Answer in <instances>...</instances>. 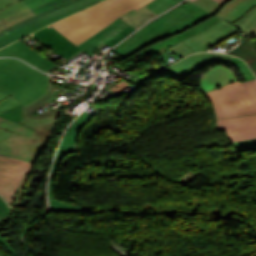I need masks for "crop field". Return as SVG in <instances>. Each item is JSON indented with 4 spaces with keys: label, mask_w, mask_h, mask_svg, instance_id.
Returning <instances> with one entry per match:
<instances>
[{
    "label": "crop field",
    "mask_w": 256,
    "mask_h": 256,
    "mask_svg": "<svg viewBox=\"0 0 256 256\" xmlns=\"http://www.w3.org/2000/svg\"><path fill=\"white\" fill-rule=\"evenodd\" d=\"M219 20L192 3H183L147 24L112 51L126 58L138 51L142 56L160 54Z\"/></svg>",
    "instance_id": "crop-field-1"
},
{
    "label": "crop field",
    "mask_w": 256,
    "mask_h": 256,
    "mask_svg": "<svg viewBox=\"0 0 256 256\" xmlns=\"http://www.w3.org/2000/svg\"><path fill=\"white\" fill-rule=\"evenodd\" d=\"M26 110L20 104L0 114V155L35 163L60 111L50 108L32 117Z\"/></svg>",
    "instance_id": "crop-field-2"
},
{
    "label": "crop field",
    "mask_w": 256,
    "mask_h": 256,
    "mask_svg": "<svg viewBox=\"0 0 256 256\" xmlns=\"http://www.w3.org/2000/svg\"><path fill=\"white\" fill-rule=\"evenodd\" d=\"M152 0H105L73 16L51 24L77 46L110 25L120 15Z\"/></svg>",
    "instance_id": "crop-field-3"
},
{
    "label": "crop field",
    "mask_w": 256,
    "mask_h": 256,
    "mask_svg": "<svg viewBox=\"0 0 256 256\" xmlns=\"http://www.w3.org/2000/svg\"><path fill=\"white\" fill-rule=\"evenodd\" d=\"M49 87L46 76L15 59H0V92L24 106L41 97Z\"/></svg>",
    "instance_id": "crop-field-4"
},
{
    "label": "crop field",
    "mask_w": 256,
    "mask_h": 256,
    "mask_svg": "<svg viewBox=\"0 0 256 256\" xmlns=\"http://www.w3.org/2000/svg\"><path fill=\"white\" fill-rule=\"evenodd\" d=\"M133 30L135 29L118 18L110 26L98 32L78 47L63 37L50 25L31 34L30 36L50 47L62 57L68 59L81 49L92 56L94 50L97 49L101 41L112 47Z\"/></svg>",
    "instance_id": "crop-field-5"
},
{
    "label": "crop field",
    "mask_w": 256,
    "mask_h": 256,
    "mask_svg": "<svg viewBox=\"0 0 256 256\" xmlns=\"http://www.w3.org/2000/svg\"><path fill=\"white\" fill-rule=\"evenodd\" d=\"M215 118H227L256 113V79L220 87L204 94Z\"/></svg>",
    "instance_id": "crop-field-6"
},
{
    "label": "crop field",
    "mask_w": 256,
    "mask_h": 256,
    "mask_svg": "<svg viewBox=\"0 0 256 256\" xmlns=\"http://www.w3.org/2000/svg\"><path fill=\"white\" fill-rule=\"evenodd\" d=\"M99 1L101 0H70L15 24L0 32V48Z\"/></svg>",
    "instance_id": "crop-field-7"
},
{
    "label": "crop field",
    "mask_w": 256,
    "mask_h": 256,
    "mask_svg": "<svg viewBox=\"0 0 256 256\" xmlns=\"http://www.w3.org/2000/svg\"><path fill=\"white\" fill-rule=\"evenodd\" d=\"M231 56L223 55L219 53H198L191 55L178 63L160 71L157 68L143 69L147 74L139 77L134 83L136 88L140 89L142 84L154 77L160 75H166L175 81H179L191 74L192 72L198 70L199 68L212 63V62H222L226 63Z\"/></svg>",
    "instance_id": "crop-field-8"
},
{
    "label": "crop field",
    "mask_w": 256,
    "mask_h": 256,
    "mask_svg": "<svg viewBox=\"0 0 256 256\" xmlns=\"http://www.w3.org/2000/svg\"><path fill=\"white\" fill-rule=\"evenodd\" d=\"M238 29L222 19L209 29L183 40L170 49L183 57L193 52L206 51L234 34Z\"/></svg>",
    "instance_id": "crop-field-9"
},
{
    "label": "crop field",
    "mask_w": 256,
    "mask_h": 256,
    "mask_svg": "<svg viewBox=\"0 0 256 256\" xmlns=\"http://www.w3.org/2000/svg\"><path fill=\"white\" fill-rule=\"evenodd\" d=\"M31 165L15 158L0 156V194L8 203H11L24 173L29 172Z\"/></svg>",
    "instance_id": "crop-field-10"
},
{
    "label": "crop field",
    "mask_w": 256,
    "mask_h": 256,
    "mask_svg": "<svg viewBox=\"0 0 256 256\" xmlns=\"http://www.w3.org/2000/svg\"><path fill=\"white\" fill-rule=\"evenodd\" d=\"M68 0H51L33 10L21 0H0V31Z\"/></svg>",
    "instance_id": "crop-field-11"
},
{
    "label": "crop field",
    "mask_w": 256,
    "mask_h": 256,
    "mask_svg": "<svg viewBox=\"0 0 256 256\" xmlns=\"http://www.w3.org/2000/svg\"><path fill=\"white\" fill-rule=\"evenodd\" d=\"M214 129L225 130L228 142L256 138V115L219 119Z\"/></svg>",
    "instance_id": "crop-field-12"
},
{
    "label": "crop field",
    "mask_w": 256,
    "mask_h": 256,
    "mask_svg": "<svg viewBox=\"0 0 256 256\" xmlns=\"http://www.w3.org/2000/svg\"><path fill=\"white\" fill-rule=\"evenodd\" d=\"M0 56H18L46 72L56 65L20 41L1 49Z\"/></svg>",
    "instance_id": "crop-field-13"
},
{
    "label": "crop field",
    "mask_w": 256,
    "mask_h": 256,
    "mask_svg": "<svg viewBox=\"0 0 256 256\" xmlns=\"http://www.w3.org/2000/svg\"><path fill=\"white\" fill-rule=\"evenodd\" d=\"M237 80L232 70L226 66H216L201 76L202 94Z\"/></svg>",
    "instance_id": "crop-field-14"
},
{
    "label": "crop field",
    "mask_w": 256,
    "mask_h": 256,
    "mask_svg": "<svg viewBox=\"0 0 256 256\" xmlns=\"http://www.w3.org/2000/svg\"><path fill=\"white\" fill-rule=\"evenodd\" d=\"M94 115L83 112L67 131L58 153L71 154L79 152V133Z\"/></svg>",
    "instance_id": "crop-field-15"
},
{
    "label": "crop field",
    "mask_w": 256,
    "mask_h": 256,
    "mask_svg": "<svg viewBox=\"0 0 256 256\" xmlns=\"http://www.w3.org/2000/svg\"><path fill=\"white\" fill-rule=\"evenodd\" d=\"M255 5L256 0H230L215 16L232 23Z\"/></svg>",
    "instance_id": "crop-field-16"
},
{
    "label": "crop field",
    "mask_w": 256,
    "mask_h": 256,
    "mask_svg": "<svg viewBox=\"0 0 256 256\" xmlns=\"http://www.w3.org/2000/svg\"><path fill=\"white\" fill-rule=\"evenodd\" d=\"M64 155L58 154L54 166L51 172L50 178V187H49V194H50V210H88V208L79 207L76 205L69 204L67 202L55 200L52 198V188L56 180L57 172L61 163V160Z\"/></svg>",
    "instance_id": "crop-field-17"
},
{
    "label": "crop field",
    "mask_w": 256,
    "mask_h": 256,
    "mask_svg": "<svg viewBox=\"0 0 256 256\" xmlns=\"http://www.w3.org/2000/svg\"><path fill=\"white\" fill-rule=\"evenodd\" d=\"M228 53L244 59L256 76V49L246 38L242 36L241 43Z\"/></svg>",
    "instance_id": "crop-field-18"
},
{
    "label": "crop field",
    "mask_w": 256,
    "mask_h": 256,
    "mask_svg": "<svg viewBox=\"0 0 256 256\" xmlns=\"http://www.w3.org/2000/svg\"><path fill=\"white\" fill-rule=\"evenodd\" d=\"M154 12H152L147 7H142L138 11L132 10L119 18L124 20L126 23L131 25L133 28H138L140 25H142L147 20L151 19L152 17L156 16Z\"/></svg>",
    "instance_id": "crop-field-19"
},
{
    "label": "crop field",
    "mask_w": 256,
    "mask_h": 256,
    "mask_svg": "<svg viewBox=\"0 0 256 256\" xmlns=\"http://www.w3.org/2000/svg\"><path fill=\"white\" fill-rule=\"evenodd\" d=\"M233 24L239 27L241 31L247 35L256 25V6Z\"/></svg>",
    "instance_id": "crop-field-20"
},
{
    "label": "crop field",
    "mask_w": 256,
    "mask_h": 256,
    "mask_svg": "<svg viewBox=\"0 0 256 256\" xmlns=\"http://www.w3.org/2000/svg\"><path fill=\"white\" fill-rule=\"evenodd\" d=\"M12 210L13 208L10 207L0 196V222L4 221ZM0 243L3 244L13 256H17L15 250L1 236Z\"/></svg>",
    "instance_id": "crop-field-21"
},
{
    "label": "crop field",
    "mask_w": 256,
    "mask_h": 256,
    "mask_svg": "<svg viewBox=\"0 0 256 256\" xmlns=\"http://www.w3.org/2000/svg\"><path fill=\"white\" fill-rule=\"evenodd\" d=\"M227 63L237 68V70L240 72L244 81L255 79V76L243 61L232 56Z\"/></svg>",
    "instance_id": "crop-field-22"
},
{
    "label": "crop field",
    "mask_w": 256,
    "mask_h": 256,
    "mask_svg": "<svg viewBox=\"0 0 256 256\" xmlns=\"http://www.w3.org/2000/svg\"><path fill=\"white\" fill-rule=\"evenodd\" d=\"M181 0H153L147 7L150 8L155 13L159 14L170 7L176 5ZM161 8V9H160Z\"/></svg>",
    "instance_id": "crop-field-23"
},
{
    "label": "crop field",
    "mask_w": 256,
    "mask_h": 256,
    "mask_svg": "<svg viewBox=\"0 0 256 256\" xmlns=\"http://www.w3.org/2000/svg\"><path fill=\"white\" fill-rule=\"evenodd\" d=\"M235 153L256 151V139L231 143Z\"/></svg>",
    "instance_id": "crop-field-24"
},
{
    "label": "crop field",
    "mask_w": 256,
    "mask_h": 256,
    "mask_svg": "<svg viewBox=\"0 0 256 256\" xmlns=\"http://www.w3.org/2000/svg\"><path fill=\"white\" fill-rule=\"evenodd\" d=\"M193 4L201 7L202 9L210 12L213 15L216 12H218V10L223 6L214 0H198V1L194 2Z\"/></svg>",
    "instance_id": "crop-field-25"
},
{
    "label": "crop field",
    "mask_w": 256,
    "mask_h": 256,
    "mask_svg": "<svg viewBox=\"0 0 256 256\" xmlns=\"http://www.w3.org/2000/svg\"><path fill=\"white\" fill-rule=\"evenodd\" d=\"M20 104L13 98L0 93V113Z\"/></svg>",
    "instance_id": "crop-field-26"
},
{
    "label": "crop field",
    "mask_w": 256,
    "mask_h": 256,
    "mask_svg": "<svg viewBox=\"0 0 256 256\" xmlns=\"http://www.w3.org/2000/svg\"><path fill=\"white\" fill-rule=\"evenodd\" d=\"M50 93H51V92H50ZM51 96H54V95L48 94L46 97H44V98L41 99L40 101H38V102H36V103H34V104H32V105L26 107V108L29 110L28 112H29V113L34 112V111H36L37 109H39V108L45 106V105H46V104H45V101L48 100V98L51 97Z\"/></svg>",
    "instance_id": "crop-field-27"
},
{
    "label": "crop field",
    "mask_w": 256,
    "mask_h": 256,
    "mask_svg": "<svg viewBox=\"0 0 256 256\" xmlns=\"http://www.w3.org/2000/svg\"><path fill=\"white\" fill-rule=\"evenodd\" d=\"M49 0H23L25 4H27L31 9L47 2Z\"/></svg>",
    "instance_id": "crop-field-28"
},
{
    "label": "crop field",
    "mask_w": 256,
    "mask_h": 256,
    "mask_svg": "<svg viewBox=\"0 0 256 256\" xmlns=\"http://www.w3.org/2000/svg\"><path fill=\"white\" fill-rule=\"evenodd\" d=\"M249 37L256 36V27L248 34Z\"/></svg>",
    "instance_id": "crop-field-29"
},
{
    "label": "crop field",
    "mask_w": 256,
    "mask_h": 256,
    "mask_svg": "<svg viewBox=\"0 0 256 256\" xmlns=\"http://www.w3.org/2000/svg\"><path fill=\"white\" fill-rule=\"evenodd\" d=\"M193 1H195V0H188V2H193ZM216 1H218L219 3L224 5L226 3V1H229V0H216Z\"/></svg>",
    "instance_id": "crop-field-30"
}]
</instances>
